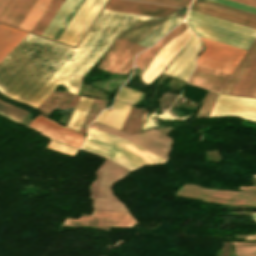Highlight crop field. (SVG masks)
<instances>
[{
	"mask_svg": "<svg viewBox=\"0 0 256 256\" xmlns=\"http://www.w3.org/2000/svg\"><path fill=\"white\" fill-rule=\"evenodd\" d=\"M148 19L158 18L103 9L76 48L28 33L0 63V91L35 108L59 84L77 94L83 76L112 40Z\"/></svg>",
	"mask_w": 256,
	"mask_h": 256,
	"instance_id": "1",
	"label": "crop field"
},
{
	"mask_svg": "<svg viewBox=\"0 0 256 256\" xmlns=\"http://www.w3.org/2000/svg\"><path fill=\"white\" fill-rule=\"evenodd\" d=\"M81 149L109 158L131 170L165 162L125 139L90 127Z\"/></svg>",
	"mask_w": 256,
	"mask_h": 256,
	"instance_id": "2",
	"label": "crop field"
},
{
	"mask_svg": "<svg viewBox=\"0 0 256 256\" xmlns=\"http://www.w3.org/2000/svg\"><path fill=\"white\" fill-rule=\"evenodd\" d=\"M130 171L106 160L97 172V180L91 186L94 210L127 212L113 196L110 186Z\"/></svg>",
	"mask_w": 256,
	"mask_h": 256,
	"instance_id": "3",
	"label": "crop field"
},
{
	"mask_svg": "<svg viewBox=\"0 0 256 256\" xmlns=\"http://www.w3.org/2000/svg\"><path fill=\"white\" fill-rule=\"evenodd\" d=\"M205 49L197 59V63L212 69L231 74L245 50L200 37Z\"/></svg>",
	"mask_w": 256,
	"mask_h": 256,
	"instance_id": "4",
	"label": "crop field"
},
{
	"mask_svg": "<svg viewBox=\"0 0 256 256\" xmlns=\"http://www.w3.org/2000/svg\"><path fill=\"white\" fill-rule=\"evenodd\" d=\"M107 0H85L59 42L76 46Z\"/></svg>",
	"mask_w": 256,
	"mask_h": 256,
	"instance_id": "5",
	"label": "crop field"
},
{
	"mask_svg": "<svg viewBox=\"0 0 256 256\" xmlns=\"http://www.w3.org/2000/svg\"><path fill=\"white\" fill-rule=\"evenodd\" d=\"M91 127L125 138L166 160L168 159V153H170V149L172 147L171 138H168L154 130L141 134L129 135L96 123H92Z\"/></svg>",
	"mask_w": 256,
	"mask_h": 256,
	"instance_id": "6",
	"label": "crop field"
},
{
	"mask_svg": "<svg viewBox=\"0 0 256 256\" xmlns=\"http://www.w3.org/2000/svg\"><path fill=\"white\" fill-rule=\"evenodd\" d=\"M145 48L118 38L110 47L98 68L112 73H128L132 68V57Z\"/></svg>",
	"mask_w": 256,
	"mask_h": 256,
	"instance_id": "7",
	"label": "crop field"
},
{
	"mask_svg": "<svg viewBox=\"0 0 256 256\" xmlns=\"http://www.w3.org/2000/svg\"><path fill=\"white\" fill-rule=\"evenodd\" d=\"M236 116L256 121V99L220 94L209 117Z\"/></svg>",
	"mask_w": 256,
	"mask_h": 256,
	"instance_id": "8",
	"label": "crop field"
},
{
	"mask_svg": "<svg viewBox=\"0 0 256 256\" xmlns=\"http://www.w3.org/2000/svg\"><path fill=\"white\" fill-rule=\"evenodd\" d=\"M143 96V93L123 87L116 96V102L111 111L104 110L95 121L120 130L131 108V105L125 103L136 105L142 100Z\"/></svg>",
	"mask_w": 256,
	"mask_h": 256,
	"instance_id": "9",
	"label": "crop field"
},
{
	"mask_svg": "<svg viewBox=\"0 0 256 256\" xmlns=\"http://www.w3.org/2000/svg\"><path fill=\"white\" fill-rule=\"evenodd\" d=\"M200 190H209V189L200 188L196 185H184L182 188H180L176 192L175 195L201 199V200H205V201H209L217 204L256 205V192H232V191L211 190V191L230 194V195H225V194H218V193H212V192H206V191H200ZM200 193L215 196V197H221V198H227V199H240L244 201L220 200V199H215L212 197L201 195Z\"/></svg>",
	"mask_w": 256,
	"mask_h": 256,
	"instance_id": "10",
	"label": "crop field"
},
{
	"mask_svg": "<svg viewBox=\"0 0 256 256\" xmlns=\"http://www.w3.org/2000/svg\"><path fill=\"white\" fill-rule=\"evenodd\" d=\"M187 24L199 36L247 50L254 38L230 32L187 18Z\"/></svg>",
	"mask_w": 256,
	"mask_h": 256,
	"instance_id": "11",
	"label": "crop field"
},
{
	"mask_svg": "<svg viewBox=\"0 0 256 256\" xmlns=\"http://www.w3.org/2000/svg\"><path fill=\"white\" fill-rule=\"evenodd\" d=\"M192 34L193 33L187 28L182 35L167 43L144 71L142 75L143 81L150 83L158 74H160Z\"/></svg>",
	"mask_w": 256,
	"mask_h": 256,
	"instance_id": "12",
	"label": "crop field"
},
{
	"mask_svg": "<svg viewBox=\"0 0 256 256\" xmlns=\"http://www.w3.org/2000/svg\"><path fill=\"white\" fill-rule=\"evenodd\" d=\"M49 138L79 148L84 134L75 132L41 115L36 117L29 125Z\"/></svg>",
	"mask_w": 256,
	"mask_h": 256,
	"instance_id": "13",
	"label": "crop field"
},
{
	"mask_svg": "<svg viewBox=\"0 0 256 256\" xmlns=\"http://www.w3.org/2000/svg\"><path fill=\"white\" fill-rule=\"evenodd\" d=\"M201 43L197 37H193L179 52L175 59L165 69L164 73L187 81L191 70L194 67V57L199 51Z\"/></svg>",
	"mask_w": 256,
	"mask_h": 256,
	"instance_id": "14",
	"label": "crop field"
},
{
	"mask_svg": "<svg viewBox=\"0 0 256 256\" xmlns=\"http://www.w3.org/2000/svg\"><path fill=\"white\" fill-rule=\"evenodd\" d=\"M64 224L76 225H98V226H115L132 228L135 223L134 219L128 213L117 212H100L94 211L92 216L81 217L80 219H66Z\"/></svg>",
	"mask_w": 256,
	"mask_h": 256,
	"instance_id": "15",
	"label": "crop field"
},
{
	"mask_svg": "<svg viewBox=\"0 0 256 256\" xmlns=\"http://www.w3.org/2000/svg\"><path fill=\"white\" fill-rule=\"evenodd\" d=\"M105 8L158 18H162L165 15L172 13L173 10L175 9L173 7L160 6L128 0H109Z\"/></svg>",
	"mask_w": 256,
	"mask_h": 256,
	"instance_id": "16",
	"label": "crop field"
},
{
	"mask_svg": "<svg viewBox=\"0 0 256 256\" xmlns=\"http://www.w3.org/2000/svg\"><path fill=\"white\" fill-rule=\"evenodd\" d=\"M229 74L197 66L188 83L194 84L212 91L220 92Z\"/></svg>",
	"mask_w": 256,
	"mask_h": 256,
	"instance_id": "17",
	"label": "crop field"
},
{
	"mask_svg": "<svg viewBox=\"0 0 256 256\" xmlns=\"http://www.w3.org/2000/svg\"><path fill=\"white\" fill-rule=\"evenodd\" d=\"M36 0H9L0 13V23L18 28Z\"/></svg>",
	"mask_w": 256,
	"mask_h": 256,
	"instance_id": "18",
	"label": "crop field"
},
{
	"mask_svg": "<svg viewBox=\"0 0 256 256\" xmlns=\"http://www.w3.org/2000/svg\"><path fill=\"white\" fill-rule=\"evenodd\" d=\"M190 8L256 28V19L248 16L230 12L196 1H194Z\"/></svg>",
	"mask_w": 256,
	"mask_h": 256,
	"instance_id": "19",
	"label": "crop field"
},
{
	"mask_svg": "<svg viewBox=\"0 0 256 256\" xmlns=\"http://www.w3.org/2000/svg\"><path fill=\"white\" fill-rule=\"evenodd\" d=\"M187 17L256 38V30L189 10Z\"/></svg>",
	"mask_w": 256,
	"mask_h": 256,
	"instance_id": "20",
	"label": "crop field"
},
{
	"mask_svg": "<svg viewBox=\"0 0 256 256\" xmlns=\"http://www.w3.org/2000/svg\"><path fill=\"white\" fill-rule=\"evenodd\" d=\"M256 92V56L231 92L233 95L253 97Z\"/></svg>",
	"mask_w": 256,
	"mask_h": 256,
	"instance_id": "21",
	"label": "crop field"
},
{
	"mask_svg": "<svg viewBox=\"0 0 256 256\" xmlns=\"http://www.w3.org/2000/svg\"><path fill=\"white\" fill-rule=\"evenodd\" d=\"M27 34V32L0 24V61Z\"/></svg>",
	"mask_w": 256,
	"mask_h": 256,
	"instance_id": "22",
	"label": "crop field"
},
{
	"mask_svg": "<svg viewBox=\"0 0 256 256\" xmlns=\"http://www.w3.org/2000/svg\"><path fill=\"white\" fill-rule=\"evenodd\" d=\"M186 28H187L186 24L181 23L180 25H178L174 30H172L168 35H166L156 45L140 53L135 59V65L144 69L162 45L167 43L171 38L175 37Z\"/></svg>",
	"mask_w": 256,
	"mask_h": 256,
	"instance_id": "23",
	"label": "crop field"
},
{
	"mask_svg": "<svg viewBox=\"0 0 256 256\" xmlns=\"http://www.w3.org/2000/svg\"><path fill=\"white\" fill-rule=\"evenodd\" d=\"M170 17H165L162 21H147L143 22L125 33L121 34L120 37L131 40L133 42L138 43L144 37H146L149 33H151L154 29L160 26L163 22H165Z\"/></svg>",
	"mask_w": 256,
	"mask_h": 256,
	"instance_id": "24",
	"label": "crop field"
},
{
	"mask_svg": "<svg viewBox=\"0 0 256 256\" xmlns=\"http://www.w3.org/2000/svg\"><path fill=\"white\" fill-rule=\"evenodd\" d=\"M77 0H65L63 4L61 5L60 9L42 34V37L50 38L54 36L74 4L76 3Z\"/></svg>",
	"mask_w": 256,
	"mask_h": 256,
	"instance_id": "25",
	"label": "crop field"
},
{
	"mask_svg": "<svg viewBox=\"0 0 256 256\" xmlns=\"http://www.w3.org/2000/svg\"><path fill=\"white\" fill-rule=\"evenodd\" d=\"M63 1L64 0H51L41 17L31 30V33L41 36V34L45 30Z\"/></svg>",
	"mask_w": 256,
	"mask_h": 256,
	"instance_id": "26",
	"label": "crop field"
},
{
	"mask_svg": "<svg viewBox=\"0 0 256 256\" xmlns=\"http://www.w3.org/2000/svg\"><path fill=\"white\" fill-rule=\"evenodd\" d=\"M255 54L256 41L254 42V44L252 45V47L250 48V50L248 51V53L246 54V56L244 57V59L242 60V62L240 63V65L238 66V68L236 69V71L234 72V74L232 75V77L230 78V80L228 81V83L226 84L221 93L230 94V92L232 91V89L234 88V86L236 85V83L238 82V80L248 67L249 63L255 56Z\"/></svg>",
	"mask_w": 256,
	"mask_h": 256,
	"instance_id": "27",
	"label": "crop field"
},
{
	"mask_svg": "<svg viewBox=\"0 0 256 256\" xmlns=\"http://www.w3.org/2000/svg\"><path fill=\"white\" fill-rule=\"evenodd\" d=\"M93 100L92 99H86V98H82L80 97L68 123L67 126L75 129V130H79L91 104H92Z\"/></svg>",
	"mask_w": 256,
	"mask_h": 256,
	"instance_id": "28",
	"label": "crop field"
},
{
	"mask_svg": "<svg viewBox=\"0 0 256 256\" xmlns=\"http://www.w3.org/2000/svg\"><path fill=\"white\" fill-rule=\"evenodd\" d=\"M49 2L50 0H37L19 26V29L30 32Z\"/></svg>",
	"mask_w": 256,
	"mask_h": 256,
	"instance_id": "29",
	"label": "crop field"
},
{
	"mask_svg": "<svg viewBox=\"0 0 256 256\" xmlns=\"http://www.w3.org/2000/svg\"><path fill=\"white\" fill-rule=\"evenodd\" d=\"M182 20L183 19L171 17L141 42H139V44L149 47Z\"/></svg>",
	"mask_w": 256,
	"mask_h": 256,
	"instance_id": "30",
	"label": "crop field"
},
{
	"mask_svg": "<svg viewBox=\"0 0 256 256\" xmlns=\"http://www.w3.org/2000/svg\"><path fill=\"white\" fill-rule=\"evenodd\" d=\"M0 114L21 122L23 119L24 115L26 114V111L21 110L19 108L13 107L11 105H8L2 101H0Z\"/></svg>",
	"mask_w": 256,
	"mask_h": 256,
	"instance_id": "31",
	"label": "crop field"
},
{
	"mask_svg": "<svg viewBox=\"0 0 256 256\" xmlns=\"http://www.w3.org/2000/svg\"><path fill=\"white\" fill-rule=\"evenodd\" d=\"M217 96V93L209 92L206 94L204 100H203V106L199 110L198 117L206 118L212 105Z\"/></svg>",
	"mask_w": 256,
	"mask_h": 256,
	"instance_id": "32",
	"label": "crop field"
},
{
	"mask_svg": "<svg viewBox=\"0 0 256 256\" xmlns=\"http://www.w3.org/2000/svg\"><path fill=\"white\" fill-rule=\"evenodd\" d=\"M84 0H78L77 3L75 4V6L73 7V9L71 10V12L69 13V15L67 16V18L65 19V21L63 22V24L61 25V27L59 28V30L57 31V33L55 34V36L53 37V40L58 41V39L60 38V36L62 35V33L64 32V30L66 29V27L68 26V24L70 23V21L72 20V18L74 17L75 13L77 12V10L79 9V7L81 6V4L83 3Z\"/></svg>",
	"mask_w": 256,
	"mask_h": 256,
	"instance_id": "33",
	"label": "crop field"
},
{
	"mask_svg": "<svg viewBox=\"0 0 256 256\" xmlns=\"http://www.w3.org/2000/svg\"><path fill=\"white\" fill-rule=\"evenodd\" d=\"M47 148L57 151V152H60V153H63V154H66V155H69V156H72V157L74 156V154L76 152V149L57 144L51 140H50L49 144L47 145Z\"/></svg>",
	"mask_w": 256,
	"mask_h": 256,
	"instance_id": "34",
	"label": "crop field"
},
{
	"mask_svg": "<svg viewBox=\"0 0 256 256\" xmlns=\"http://www.w3.org/2000/svg\"><path fill=\"white\" fill-rule=\"evenodd\" d=\"M211 1H215V2H218V3L224 4V5H228V6L237 8V9H241V10L256 14V8L250 7V6H247V5H243V4H240V3H236V2H233V1H230V0H211Z\"/></svg>",
	"mask_w": 256,
	"mask_h": 256,
	"instance_id": "35",
	"label": "crop field"
},
{
	"mask_svg": "<svg viewBox=\"0 0 256 256\" xmlns=\"http://www.w3.org/2000/svg\"><path fill=\"white\" fill-rule=\"evenodd\" d=\"M142 1H149V2H155V3L187 7L191 0H142Z\"/></svg>",
	"mask_w": 256,
	"mask_h": 256,
	"instance_id": "36",
	"label": "crop field"
},
{
	"mask_svg": "<svg viewBox=\"0 0 256 256\" xmlns=\"http://www.w3.org/2000/svg\"><path fill=\"white\" fill-rule=\"evenodd\" d=\"M239 256H256V247H234Z\"/></svg>",
	"mask_w": 256,
	"mask_h": 256,
	"instance_id": "37",
	"label": "crop field"
},
{
	"mask_svg": "<svg viewBox=\"0 0 256 256\" xmlns=\"http://www.w3.org/2000/svg\"><path fill=\"white\" fill-rule=\"evenodd\" d=\"M196 1H200V2H203V3H207V4H210V5H213V6H217V7H220V8H224V9H227V10H231V11H234V12H237V13H241V14L248 15V16L256 18V15H254V14H250V13H247V12H244V11H241V10H237V9H234V8H231V7H228V6H224V5H221V4H218V3H214V2H211V1H208V0H196Z\"/></svg>",
	"mask_w": 256,
	"mask_h": 256,
	"instance_id": "38",
	"label": "crop field"
},
{
	"mask_svg": "<svg viewBox=\"0 0 256 256\" xmlns=\"http://www.w3.org/2000/svg\"><path fill=\"white\" fill-rule=\"evenodd\" d=\"M233 1H237V2H240L243 4H247V5L256 7V0H233Z\"/></svg>",
	"mask_w": 256,
	"mask_h": 256,
	"instance_id": "39",
	"label": "crop field"
},
{
	"mask_svg": "<svg viewBox=\"0 0 256 256\" xmlns=\"http://www.w3.org/2000/svg\"><path fill=\"white\" fill-rule=\"evenodd\" d=\"M235 246H256V242L255 243L235 242Z\"/></svg>",
	"mask_w": 256,
	"mask_h": 256,
	"instance_id": "40",
	"label": "crop field"
},
{
	"mask_svg": "<svg viewBox=\"0 0 256 256\" xmlns=\"http://www.w3.org/2000/svg\"><path fill=\"white\" fill-rule=\"evenodd\" d=\"M242 190H256V186H246V187H240Z\"/></svg>",
	"mask_w": 256,
	"mask_h": 256,
	"instance_id": "41",
	"label": "crop field"
},
{
	"mask_svg": "<svg viewBox=\"0 0 256 256\" xmlns=\"http://www.w3.org/2000/svg\"><path fill=\"white\" fill-rule=\"evenodd\" d=\"M247 240L256 239V235H246Z\"/></svg>",
	"mask_w": 256,
	"mask_h": 256,
	"instance_id": "42",
	"label": "crop field"
},
{
	"mask_svg": "<svg viewBox=\"0 0 256 256\" xmlns=\"http://www.w3.org/2000/svg\"><path fill=\"white\" fill-rule=\"evenodd\" d=\"M7 0H0V11L3 8L4 4L6 3Z\"/></svg>",
	"mask_w": 256,
	"mask_h": 256,
	"instance_id": "43",
	"label": "crop field"
},
{
	"mask_svg": "<svg viewBox=\"0 0 256 256\" xmlns=\"http://www.w3.org/2000/svg\"><path fill=\"white\" fill-rule=\"evenodd\" d=\"M253 218L256 220V213H253Z\"/></svg>",
	"mask_w": 256,
	"mask_h": 256,
	"instance_id": "44",
	"label": "crop field"
},
{
	"mask_svg": "<svg viewBox=\"0 0 256 256\" xmlns=\"http://www.w3.org/2000/svg\"><path fill=\"white\" fill-rule=\"evenodd\" d=\"M252 176H253V177H256V174H253Z\"/></svg>",
	"mask_w": 256,
	"mask_h": 256,
	"instance_id": "45",
	"label": "crop field"
},
{
	"mask_svg": "<svg viewBox=\"0 0 256 256\" xmlns=\"http://www.w3.org/2000/svg\"><path fill=\"white\" fill-rule=\"evenodd\" d=\"M254 97H256V94L254 95Z\"/></svg>",
	"mask_w": 256,
	"mask_h": 256,
	"instance_id": "46",
	"label": "crop field"
}]
</instances>
